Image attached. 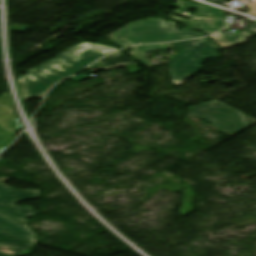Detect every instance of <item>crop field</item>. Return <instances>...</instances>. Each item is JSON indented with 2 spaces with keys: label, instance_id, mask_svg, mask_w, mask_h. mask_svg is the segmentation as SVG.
Returning <instances> with one entry per match:
<instances>
[{
  "label": "crop field",
  "instance_id": "8a807250",
  "mask_svg": "<svg viewBox=\"0 0 256 256\" xmlns=\"http://www.w3.org/2000/svg\"><path fill=\"white\" fill-rule=\"evenodd\" d=\"M114 51L115 47L87 42L72 46L62 55L27 71L28 74L20 78L23 99L43 98L56 81L80 71L92 61Z\"/></svg>",
  "mask_w": 256,
  "mask_h": 256
},
{
  "label": "crop field",
  "instance_id": "ac0d7876",
  "mask_svg": "<svg viewBox=\"0 0 256 256\" xmlns=\"http://www.w3.org/2000/svg\"><path fill=\"white\" fill-rule=\"evenodd\" d=\"M179 35L181 39L202 36L189 28L179 30ZM109 38L111 42L120 47L178 39L175 23L173 21L165 22L164 19L144 20L133 23L109 36Z\"/></svg>",
  "mask_w": 256,
  "mask_h": 256
},
{
  "label": "crop field",
  "instance_id": "34b2d1b8",
  "mask_svg": "<svg viewBox=\"0 0 256 256\" xmlns=\"http://www.w3.org/2000/svg\"><path fill=\"white\" fill-rule=\"evenodd\" d=\"M171 44L182 50L180 55L167 63V71L174 85H180V83L188 80L189 75L201 67L200 63L203 59L215 58L217 57L215 50H221L208 37Z\"/></svg>",
  "mask_w": 256,
  "mask_h": 256
},
{
  "label": "crop field",
  "instance_id": "412701ff",
  "mask_svg": "<svg viewBox=\"0 0 256 256\" xmlns=\"http://www.w3.org/2000/svg\"><path fill=\"white\" fill-rule=\"evenodd\" d=\"M201 116L225 133L247 128L244 115L217 101H210L190 108L187 117Z\"/></svg>",
  "mask_w": 256,
  "mask_h": 256
},
{
  "label": "crop field",
  "instance_id": "f4fd0767",
  "mask_svg": "<svg viewBox=\"0 0 256 256\" xmlns=\"http://www.w3.org/2000/svg\"><path fill=\"white\" fill-rule=\"evenodd\" d=\"M176 2L180 7L173 11L189 15L191 16L189 17L191 20L181 19L172 15H170V17L204 35L217 31L227 24L220 10L209 8L187 0H176ZM192 8H196L198 10L197 13H187L189 9Z\"/></svg>",
  "mask_w": 256,
  "mask_h": 256
},
{
  "label": "crop field",
  "instance_id": "dd49c442",
  "mask_svg": "<svg viewBox=\"0 0 256 256\" xmlns=\"http://www.w3.org/2000/svg\"><path fill=\"white\" fill-rule=\"evenodd\" d=\"M8 180L6 177H0V214L26 225V217H32L37 212L29 207L21 208L16 206L18 200H31L39 198V191L36 190H14L4 184Z\"/></svg>",
  "mask_w": 256,
  "mask_h": 256
},
{
  "label": "crop field",
  "instance_id": "e52e79f7",
  "mask_svg": "<svg viewBox=\"0 0 256 256\" xmlns=\"http://www.w3.org/2000/svg\"><path fill=\"white\" fill-rule=\"evenodd\" d=\"M19 123L14 116L8 93L5 92L0 97V153L13 141Z\"/></svg>",
  "mask_w": 256,
  "mask_h": 256
},
{
  "label": "crop field",
  "instance_id": "d8731c3e",
  "mask_svg": "<svg viewBox=\"0 0 256 256\" xmlns=\"http://www.w3.org/2000/svg\"><path fill=\"white\" fill-rule=\"evenodd\" d=\"M0 227L10 233L12 236L35 242L34 233L27 226L19 225L0 215Z\"/></svg>",
  "mask_w": 256,
  "mask_h": 256
},
{
  "label": "crop field",
  "instance_id": "5a996713",
  "mask_svg": "<svg viewBox=\"0 0 256 256\" xmlns=\"http://www.w3.org/2000/svg\"><path fill=\"white\" fill-rule=\"evenodd\" d=\"M98 63L105 66L101 68L102 70H109V69L124 66L129 70L130 73L138 72L135 62H133L131 59L126 57L121 52L112 54Z\"/></svg>",
  "mask_w": 256,
  "mask_h": 256
},
{
  "label": "crop field",
  "instance_id": "3316defc",
  "mask_svg": "<svg viewBox=\"0 0 256 256\" xmlns=\"http://www.w3.org/2000/svg\"><path fill=\"white\" fill-rule=\"evenodd\" d=\"M13 245L14 249L20 250L24 253V255L29 254L28 249L34 246V244L28 243L26 241L14 238L7 233H5L2 229H0V245ZM0 256H8L0 252Z\"/></svg>",
  "mask_w": 256,
  "mask_h": 256
},
{
  "label": "crop field",
  "instance_id": "28ad6ade",
  "mask_svg": "<svg viewBox=\"0 0 256 256\" xmlns=\"http://www.w3.org/2000/svg\"><path fill=\"white\" fill-rule=\"evenodd\" d=\"M212 37L224 48L242 44L245 42V39L250 37L246 32L228 36L225 34L217 33L212 35Z\"/></svg>",
  "mask_w": 256,
  "mask_h": 256
},
{
  "label": "crop field",
  "instance_id": "d1516ede",
  "mask_svg": "<svg viewBox=\"0 0 256 256\" xmlns=\"http://www.w3.org/2000/svg\"><path fill=\"white\" fill-rule=\"evenodd\" d=\"M167 48H169L168 44L137 46V47H131L129 50V53L134 57L138 58L143 63L144 67H148L150 66V64L146 58L145 52L167 49Z\"/></svg>",
  "mask_w": 256,
  "mask_h": 256
},
{
  "label": "crop field",
  "instance_id": "22f410ed",
  "mask_svg": "<svg viewBox=\"0 0 256 256\" xmlns=\"http://www.w3.org/2000/svg\"><path fill=\"white\" fill-rule=\"evenodd\" d=\"M184 198L182 199L183 205L181 206V209L179 210L181 216H184L190 212H192V209L189 205L190 202H192L191 198L194 197L190 187L182 191Z\"/></svg>",
  "mask_w": 256,
  "mask_h": 256
},
{
  "label": "crop field",
  "instance_id": "cbeb9de0",
  "mask_svg": "<svg viewBox=\"0 0 256 256\" xmlns=\"http://www.w3.org/2000/svg\"><path fill=\"white\" fill-rule=\"evenodd\" d=\"M29 26L26 25H16V24H11V30L13 31H19L23 32L25 29H27Z\"/></svg>",
  "mask_w": 256,
  "mask_h": 256
},
{
  "label": "crop field",
  "instance_id": "5142ce71",
  "mask_svg": "<svg viewBox=\"0 0 256 256\" xmlns=\"http://www.w3.org/2000/svg\"><path fill=\"white\" fill-rule=\"evenodd\" d=\"M88 77H90V76H88V75H86V74H84V73H81V74H79V75H77V76H74V77H72V78H70V79H72V80H74V81H76V82H79V81H81V80H83V79H86V78H88Z\"/></svg>",
  "mask_w": 256,
  "mask_h": 256
},
{
  "label": "crop field",
  "instance_id": "d9b57169",
  "mask_svg": "<svg viewBox=\"0 0 256 256\" xmlns=\"http://www.w3.org/2000/svg\"><path fill=\"white\" fill-rule=\"evenodd\" d=\"M254 2L247 4L251 12H247L253 15H256V0H253Z\"/></svg>",
  "mask_w": 256,
  "mask_h": 256
},
{
  "label": "crop field",
  "instance_id": "733c2abd",
  "mask_svg": "<svg viewBox=\"0 0 256 256\" xmlns=\"http://www.w3.org/2000/svg\"><path fill=\"white\" fill-rule=\"evenodd\" d=\"M251 23L255 24L249 28H247V30H250L252 32H256V21L252 20Z\"/></svg>",
  "mask_w": 256,
  "mask_h": 256
}]
</instances>
